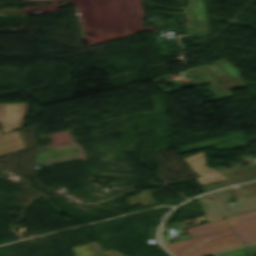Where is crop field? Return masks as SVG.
I'll list each match as a JSON object with an SVG mask.
<instances>
[{"instance_id": "obj_1", "label": "crop field", "mask_w": 256, "mask_h": 256, "mask_svg": "<svg viewBox=\"0 0 256 256\" xmlns=\"http://www.w3.org/2000/svg\"><path fill=\"white\" fill-rule=\"evenodd\" d=\"M193 239L162 244L175 256H199L256 241V211L190 228Z\"/></svg>"}, {"instance_id": "obj_2", "label": "crop field", "mask_w": 256, "mask_h": 256, "mask_svg": "<svg viewBox=\"0 0 256 256\" xmlns=\"http://www.w3.org/2000/svg\"><path fill=\"white\" fill-rule=\"evenodd\" d=\"M184 160L193 172L200 175L196 180L204 192L256 179V164L228 170H216L206 165L203 152L186 157ZM214 182L218 184H212Z\"/></svg>"}, {"instance_id": "obj_3", "label": "crop field", "mask_w": 256, "mask_h": 256, "mask_svg": "<svg viewBox=\"0 0 256 256\" xmlns=\"http://www.w3.org/2000/svg\"><path fill=\"white\" fill-rule=\"evenodd\" d=\"M235 191L239 201L235 202L233 206H230L229 203V189L207 194V197L217 205L224 218L256 210V182L248 183Z\"/></svg>"}, {"instance_id": "obj_4", "label": "crop field", "mask_w": 256, "mask_h": 256, "mask_svg": "<svg viewBox=\"0 0 256 256\" xmlns=\"http://www.w3.org/2000/svg\"><path fill=\"white\" fill-rule=\"evenodd\" d=\"M203 68L221 82V84L215 82L210 83L217 100L231 98L232 95L229 90L245 87L239 76L240 73L227 61L214 63L209 66H204Z\"/></svg>"}, {"instance_id": "obj_5", "label": "crop field", "mask_w": 256, "mask_h": 256, "mask_svg": "<svg viewBox=\"0 0 256 256\" xmlns=\"http://www.w3.org/2000/svg\"><path fill=\"white\" fill-rule=\"evenodd\" d=\"M27 115V103L0 104V132L20 129Z\"/></svg>"}, {"instance_id": "obj_6", "label": "crop field", "mask_w": 256, "mask_h": 256, "mask_svg": "<svg viewBox=\"0 0 256 256\" xmlns=\"http://www.w3.org/2000/svg\"><path fill=\"white\" fill-rule=\"evenodd\" d=\"M185 13L189 35L208 34L202 0L189 1Z\"/></svg>"}, {"instance_id": "obj_7", "label": "crop field", "mask_w": 256, "mask_h": 256, "mask_svg": "<svg viewBox=\"0 0 256 256\" xmlns=\"http://www.w3.org/2000/svg\"><path fill=\"white\" fill-rule=\"evenodd\" d=\"M80 151L72 144L62 145L49 148V151L36 153L35 166L67 161L80 158L78 153ZM51 153V155H48Z\"/></svg>"}, {"instance_id": "obj_8", "label": "crop field", "mask_w": 256, "mask_h": 256, "mask_svg": "<svg viewBox=\"0 0 256 256\" xmlns=\"http://www.w3.org/2000/svg\"><path fill=\"white\" fill-rule=\"evenodd\" d=\"M24 148L17 131L0 135V155Z\"/></svg>"}, {"instance_id": "obj_9", "label": "crop field", "mask_w": 256, "mask_h": 256, "mask_svg": "<svg viewBox=\"0 0 256 256\" xmlns=\"http://www.w3.org/2000/svg\"><path fill=\"white\" fill-rule=\"evenodd\" d=\"M196 201L208 222L223 218L211 199L205 196H202V197L196 198Z\"/></svg>"}, {"instance_id": "obj_10", "label": "crop field", "mask_w": 256, "mask_h": 256, "mask_svg": "<svg viewBox=\"0 0 256 256\" xmlns=\"http://www.w3.org/2000/svg\"><path fill=\"white\" fill-rule=\"evenodd\" d=\"M93 244L97 251H99L100 253H102L106 256H119L113 252L99 250L98 247L96 246L95 242H93ZM72 249L75 252L76 256H103L94 251V248L91 243L74 246V247H72Z\"/></svg>"}, {"instance_id": "obj_11", "label": "crop field", "mask_w": 256, "mask_h": 256, "mask_svg": "<svg viewBox=\"0 0 256 256\" xmlns=\"http://www.w3.org/2000/svg\"><path fill=\"white\" fill-rule=\"evenodd\" d=\"M214 256H252L247 247L227 251L219 254H215Z\"/></svg>"}, {"instance_id": "obj_12", "label": "crop field", "mask_w": 256, "mask_h": 256, "mask_svg": "<svg viewBox=\"0 0 256 256\" xmlns=\"http://www.w3.org/2000/svg\"><path fill=\"white\" fill-rule=\"evenodd\" d=\"M250 250L252 251L253 255L256 254V244L249 246Z\"/></svg>"}, {"instance_id": "obj_13", "label": "crop field", "mask_w": 256, "mask_h": 256, "mask_svg": "<svg viewBox=\"0 0 256 256\" xmlns=\"http://www.w3.org/2000/svg\"><path fill=\"white\" fill-rule=\"evenodd\" d=\"M1 134V133H0Z\"/></svg>"}]
</instances>
